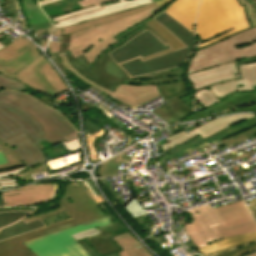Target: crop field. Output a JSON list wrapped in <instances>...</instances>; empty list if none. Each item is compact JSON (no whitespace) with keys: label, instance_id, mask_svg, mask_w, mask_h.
I'll return each mask as SVG.
<instances>
[{"label":"crop field","instance_id":"27","mask_svg":"<svg viewBox=\"0 0 256 256\" xmlns=\"http://www.w3.org/2000/svg\"><path fill=\"white\" fill-rule=\"evenodd\" d=\"M148 27H150L154 32H156L162 39H164L173 49L162 52L160 54L154 55L152 57H149L147 59L153 58L155 56L168 53L174 50H178L184 45L176 38L174 37L168 30H166L163 26H161L158 22H156L153 18L144 22ZM146 60V59H144Z\"/></svg>","mask_w":256,"mask_h":256},{"label":"crop field","instance_id":"50","mask_svg":"<svg viewBox=\"0 0 256 256\" xmlns=\"http://www.w3.org/2000/svg\"><path fill=\"white\" fill-rule=\"evenodd\" d=\"M250 212L252 213L254 219L256 220V209L250 210Z\"/></svg>","mask_w":256,"mask_h":256},{"label":"crop field","instance_id":"16","mask_svg":"<svg viewBox=\"0 0 256 256\" xmlns=\"http://www.w3.org/2000/svg\"><path fill=\"white\" fill-rule=\"evenodd\" d=\"M240 77L236 62H231L187 75V79L193 84L194 91L215 83L224 82Z\"/></svg>","mask_w":256,"mask_h":256},{"label":"crop field","instance_id":"34","mask_svg":"<svg viewBox=\"0 0 256 256\" xmlns=\"http://www.w3.org/2000/svg\"><path fill=\"white\" fill-rule=\"evenodd\" d=\"M242 4H245L247 14L252 27H256V0H239Z\"/></svg>","mask_w":256,"mask_h":256},{"label":"crop field","instance_id":"19","mask_svg":"<svg viewBox=\"0 0 256 256\" xmlns=\"http://www.w3.org/2000/svg\"><path fill=\"white\" fill-rule=\"evenodd\" d=\"M225 98L226 100L222 101L221 103L215 104L207 108L205 111L197 112L196 114H194L193 116H191L185 121L210 117L211 116L210 113L212 112L219 113L231 107L256 101L254 92L233 93L231 95L226 96ZM181 122H184V121H181Z\"/></svg>","mask_w":256,"mask_h":256},{"label":"crop field","instance_id":"13","mask_svg":"<svg viewBox=\"0 0 256 256\" xmlns=\"http://www.w3.org/2000/svg\"><path fill=\"white\" fill-rule=\"evenodd\" d=\"M168 49H171L168 44H163L147 30L108 54L117 64H119L139 56L144 59Z\"/></svg>","mask_w":256,"mask_h":256},{"label":"crop field","instance_id":"46","mask_svg":"<svg viewBox=\"0 0 256 256\" xmlns=\"http://www.w3.org/2000/svg\"><path fill=\"white\" fill-rule=\"evenodd\" d=\"M250 203H251V205H248V208H249V209L256 208V200L250 201Z\"/></svg>","mask_w":256,"mask_h":256},{"label":"crop field","instance_id":"9","mask_svg":"<svg viewBox=\"0 0 256 256\" xmlns=\"http://www.w3.org/2000/svg\"><path fill=\"white\" fill-rule=\"evenodd\" d=\"M108 216L24 244L38 256H90L71 235L110 225Z\"/></svg>","mask_w":256,"mask_h":256},{"label":"crop field","instance_id":"53","mask_svg":"<svg viewBox=\"0 0 256 256\" xmlns=\"http://www.w3.org/2000/svg\"><path fill=\"white\" fill-rule=\"evenodd\" d=\"M254 90H255V94H256V87H254Z\"/></svg>","mask_w":256,"mask_h":256},{"label":"crop field","instance_id":"23","mask_svg":"<svg viewBox=\"0 0 256 256\" xmlns=\"http://www.w3.org/2000/svg\"><path fill=\"white\" fill-rule=\"evenodd\" d=\"M213 230L220 240L227 237L255 231L256 223L254 222L252 217H250V218H246L243 220H239L236 222L219 226L217 228H214Z\"/></svg>","mask_w":256,"mask_h":256},{"label":"crop field","instance_id":"25","mask_svg":"<svg viewBox=\"0 0 256 256\" xmlns=\"http://www.w3.org/2000/svg\"><path fill=\"white\" fill-rule=\"evenodd\" d=\"M215 211L223 224L251 216L243 201L237 204L215 208Z\"/></svg>","mask_w":256,"mask_h":256},{"label":"crop field","instance_id":"21","mask_svg":"<svg viewBox=\"0 0 256 256\" xmlns=\"http://www.w3.org/2000/svg\"><path fill=\"white\" fill-rule=\"evenodd\" d=\"M256 241V232L239 235L212 243L204 248L199 249L204 256H210L237 246L245 245Z\"/></svg>","mask_w":256,"mask_h":256},{"label":"crop field","instance_id":"10","mask_svg":"<svg viewBox=\"0 0 256 256\" xmlns=\"http://www.w3.org/2000/svg\"><path fill=\"white\" fill-rule=\"evenodd\" d=\"M133 84H157L160 93L169 102L152 111L169 125L192 112L191 93L182 79H161L156 81H134ZM182 99V100H180Z\"/></svg>","mask_w":256,"mask_h":256},{"label":"crop field","instance_id":"51","mask_svg":"<svg viewBox=\"0 0 256 256\" xmlns=\"http://www.w3.org/2000/svg\"><path fill=\"white\" fill-rule=\"evenodd\" d=\"M244 256H256V251H255V252H253V253H250V254L244 255Z\"/></svg>","mask_w":256,"mask_h":256},{"label":"crop field","instance_id":"41","mask_svg":"<svg viewBox=\"0 0 256 256\" xmlns=\"http://www.w3.org/2000/svg\"><path fill=\"white\" fill-rule=\"evenodd\" d=\"M185 68L184 66H180L178 68H175V69H172L173 72H174V76L175 77H178V78H184V71H185Z\"/></svg>","mask_w":256,"mask_h":256},{"label":"crop field","instance_id":"7","mask_svg":"<svg viewBox=\"0 0 256 256\" xmlns=\"http://www.w3.org/2000/svg\"><path fill=\"white\" fill-rule=\"evenodd\" d=\"M154 19L168 29L186 47L143 62L138 58L127 63L120 64L130 77L141 76L178 67L188 59L196 47L195 35L167 12L164 10L161 11L154 17Z\"/></svg>","mask_w":256,"mask_h":256},{"label":"crop field","instance_id":"4","mask_svg":"<svg viewBox=\"0 0 256 256\" xmlns=\"http://www.w3.org/2000/svg\"><path fill=\"white\" fill-rule=\"evenodd\" d=\"M59 201L72 219L0 242V256H37L22 242L106 216L87 195L81 181L67 184Z\"/></svg>","mask_w":256,"mask_h":256},{"label":"crop field","instance_id":"20","mask_svg":"<svg viewBox=\"0 0 256 256\" xmlns=\"http://www.w3.org/2000/svg\"><path fill=\"white\" fill-rule=\"evenodd\" d=\"M168 143L160 146L162 152L168 157L194 143H197L203 138L195 131H190L188 134L183 130L169 138H166Z\"/></svg>","mask_w":256,"mask_h":256},{"label":"crop field","instance_id":"48","mask_svg":"<svg viewBox=\"0 0 256 256\" xmlns=\"http://www.w3.org/2000/svg\"><path fill=\"white\" fill-rule=\"evenodd\" d=\"M2 206H6V204L3 200L2 194H0V207H2Z\"/></svg>","mask_w":256,"mask_h":256},{"label":"crop field","instance_id":"47","mask_svg":"<svg viewBox=\"0 0 256 256\" xmlns=\"http://www.w3.org/2000/svg\"><path fill=\"white\" fill-rule=\"evenodd\" d=\"M56 1H60V0H47V1L41 2L40 6L48 4V3L56 2Z\"/></svg>","mask_w":256,"mask_h":256},{"label":"crop field","instance_id":"17","mask_svg":"<svg viewBox=\"0 0 256 256\" xmlns=\"http://www.w3.org/2000/svg\"><path fill=\"white\" fill-rule=\"evenodd\" d=\"M119 1L120 2L102 6L103 9L101 10L74 16V17L59 21V23L54 24L55 29L71 26L81 22L93 20L95 18L103 17L109 14H114V13L122 12V11L133 9V8H138L144 5L154 3L152 0H132V1L119 0Z\"/></svg>","mask_w":256,"mask_h":256},{"label":"crop field","instance_id":"33","mask_svg":"<svg viewBox=\"0 0 256 256\" xmlns=\"http://www.w3.org/2000/svg\"><path fill=\"white\" fill-rule=\"evenodd\" d=\"M27 86L23 85L22 83L10 79L3 74H0V92L8 91V90H16L19 91Z\"/></svg>","mask_w":256,"mask_h":256},{"label":"crop field","instance_id":"42","mask_svg":"<svg viewBox=\"0 0 256 256\" xmlns=\"http://www.w3.org/2000/svg\"><path fill=\"white\" fill-rule=\"evenodd\" d=\"M155 1L161 8L164 7L166 4H170L173 0H153Z\"/></svg>","mask_w":256,"mask_h":256},{"label":"crop field","instance_id":"18","mask_svg":"<svg viewBox=\"0 0 256 256\" xmlns=\"http://www.w3.org/2000/svg\"><path fill=\"white\" fill-rule=\"evenodd\" d=\"M199 0H175L166 8L186 28L194 33V22L198 10Z\"/></svg>","mask_w":256,"mask_h":256},{"label":"crop field","instance_id":"22","mask_svg":"<svg viewBox=\"0 0 256 256\" xmlns=\"http://www.w3.org/2000/svg\"><path fill=\"white\" fill-rule=\"evenodd\" d=\"M255 115L253 114H239V115H233L223 118L215 119L209 123H206L195 130L205 139L206 137L223 130L224 128L228 126H232L236 123L242 122L246 119H249Z\"/></svg>","mask_w":256,"mask_h":256},{"label":"crop field","instance_id":"38","mask_svg":"<svg viewBox=\"0 0 256 256\" xmlns=\"http://www.w3.org/2000/svg\"><path fill=\"white\" fill-rule=\"evenodd\" d=\"M85 124H86V135L90 134L93 138H95V136H97L100 133L101 129H99L97 126H95L86 118H85Z\"/></svg>","mask_w":256,"mask_h":256},{"label":"crop field","instance_id":"35","mask_svg":"<svg viewBox=\"0 0 256 256\" xmlns=\"http://www.w3.org/2000/svg\"><path fill=\"white\" fill-rule=\"evenodd\" d=\"M256 250V242L250 245L240 247L234 250H230L221 254H217L215 256H241Z\"/></svg>","mask_w":256,"mask_h":256},{"label":"crop field","instance_id":"39","mask_svg":"<svg viewBox=\"0 0 256 256\" xmlns=\"http://www.w3.org/2000/svg\"><path fill=\"white\" fill-rule=\"evenodd\" d=\"M60 144L68 151V153L80 148L79 139L68 143L62 142Z\"/></svg>","mask_w":256,"mask_h":256},{"label":"crop field","instance_id":"15","mask_svg":"<svg viewBox=\"0 0 256 256\" xmlns=\"http://www.w3.org/2000/svg\"><path fill=\"white\" fill-rule=\"evenodd\" d=\"M7 206H30L50 201L55 184H38L2 192Z\"/></svg>","mask_w":256,"mask_h":256},{"label":"crop field","instance_id":"40","mask_svg":"<svg viewBox=\"0 0 256 256\" xmlns=\"http://www.w3.org/2000/svg\"><path fill=\"white\" fill-rule=\"evenodd\" d=\"M78 243L81 244L90 253L91 256H99L94 251V249L84 239L78 240ZM109 256H119V255H118V253H116V254L109 255Z\"/></svg>","mask_w":256,"mask_h":256},{"label":"crop field","instance_id":"5","mask_svg":"<svg viewBox=\"0 0 256 256\" xmlns=\"http://www.w3.org/2000/svg\"><path fill=\"white\" fill-rule=\"evenodd\" d=\"M250 27L245 7L238 0H202L196 23L198 49Z\"/></svg>","mask_w":256,"mask_h":256},{"label":"crop field","instance_id":"49","mask_svg":"<svg viewBox=\"0 0 256 256\" xmlns=\"http://www.w3.org/2000/svg\"><path fill=\"white\" fill-rule=\"evenodd\" d=\"M6 27H7V26H6ZM6 27L0 29V34L8 29V28H6ZM3 47H5V46L0 43V49L3 48Z\"/></svg>","mask_w":256,"mask_h":256},{"label":"crop field","instance_id":"8","mask_svg":"<svg viewBox=\"0 0 256 256\" xmlns=\"http://www.w3.org/2000/svg\"><path fill=\"white\" fill-rule=\"evenodd\" d=\"M249 57H256V28L196 51L186 74Z\"/></svg>","mask_w":256,"mask_h":256},{"label":"crop field","instance_id":"45","mask_svg":"<svg viewBox=\"0 0 256 256\" xmlns=\"http://www.w3.org/2000/svg\"><path fill=\"white\" fill-rule=\"evenodd\" d=\"M5 163H7V161H6V159H5L4 155H3V153L0 152V164H5Z\"/></svg>","mask_w":256,"mask_h":256},{"label":"crop field","instance_id":"1","mask_svg":"<svg viewBox=\"0 0 256 256\" xmlns=\"http://www.w3.org/2000/svg\"><path fill=\"white\" fill-rule=\"evenodd\" d=\"M78 132L55 110L22 93H0V148L9 164L27 169L49 161L45 148L78 139Z\"/></svg>","mask_w":256,"mask_h":256},{"label":"crop field","instance_id":"43","mask_svg":"<svg viewBox=\"0 0 256 256\" xmlns=\"http://www.w3.org/2000/svg\"><path fill=\"white\" fill-rule=\"evenodd\" d=\"M242 111H253V112H256V105L255 106H251V107H247V108L235 111V112H242ZM232 113H234V112H232Z\"/></svg>","mask_w":256,"mask_h":256},{"label":"crop field","instance_id":"28","mask_svg":"<svg viewBox=\"0 0 256 256\" xmlns=\"http://www.w3.org/2000/svg\"><path fill=\"white\" fill-rule=\"evenodd\" d=\"M77 1L80 0H63L57 3L42 6L41 8L47 17L50 18L81 9V7L76 3Z\"/></svg>","mask_w":256,"mask_h":256},{"label":"crop field","instance_id":"30","mask_svg":"<svg viewBox=\"0 0 256 256\" xmlns=\"http://www.w3.org/2000/svg\"><path fill=\"white\" fill-rule=\"evenodd\" d=\"M109 1H113V0H83V1L78 2V4L83 9L78 10V11L73 12V13L57 16V17H54V18H50V20L54 24V23H57V21H59V20L74 16V15H78V14L98 10V9L102 8L100 4L105 3V2H109Z\"/></svg>","mask_w":256,"mask_h":256},{"label":"crop field","instance_id":"29","mask_svg":"<svg viewBox=\"0 0 256 256\" xmlns=\"http://www.w3.org/2000/svg\"><path fill=\"white\" fill-rule=\"evenodd\" d=\"M40 218L42 222L46 225L57 223L66 219H69L70 217L64 212L62 208H58L55 210H51L45 213H41L35 216L26 217L23 219L25 222L35 220Z\"/></svg>","mask_w":256,"mask_h":256},{"label":"crop field","instance_id":"3","mask_svg":"<svg viewBox=\"0 0 256 256\" xmlns=\"http://www.w3.org/2000/svg\"><path fill=\"white\" fill-rule=\"evenodd\" d=\"M0 73L53 97L69 89L37 49L21 37L0 50Z\"/></svg>","mask_w":256,"mask_h":256},{"label":"crop field","instance_id":"6","mask_svg":"<svg viewBox=\"0 0 256 256\" xmlns=\"http://www.w3.org/2000/svg\"><path fill=\"white\" fill-rule=\"evenodd\" d=\"M147 29L151 31L155 36H157L161 41H163L157 34H155L150 28L142 23L141 25L115 37V39L119 40L120 42L101 53L91 64V66L84 58L83 54L78 58L74 59L69 51L66 52L67 59L80 74L86 76L98 85L114 91L115 88L122 82L132 84V81L128 78L127 74L121 68H119L117 64L107 55V53ZM163 42L166 44L165 41ZM49 56L52 58L53 62L60 68V70L66 75L67 71L60 63L57 53L49 54Z\"/></svg>","mask_w":256,"mask_h":256},{"label":"crop field","instance_id":"26","mask_svg":"<svg viewBox=\"0 0 256 256\" xmlns=\"http://www.w3.org/2000/svg\"><path fill=\"white\" fill-rule=\"evenodd\" d=\"M44 227L40 219L25 223L23 220L0 230V241Z\"/></svg>","mask_w":256,"mask_h":256},{"label":"crop field","instance_id":"11","mask_svg":"<svg viewBox=\"0 0 256 256\" xmlns=\"http://www.w3.org/2000/svg\"><path fill=\"white\" fill-rule=\"evenodd\" d=\"M61 63L67 69L69 75L74 74L78 79L85 82V84L89 85L90 87H96L101 91L109 94L111 98L126 104L127 106L133 108L153 97L160 95L156 85H131L122 83L120 86L116 88L114 92L100 87L94 82L88 80L87 78L81 76L67 61L65 53L59 54Z\"/></svg>","mask_w":256,"mask_h":256},{"label":"crop field","instance_id":"37","mask_svg":"<svg viewBox=\"0 0 256 256\" xmlns=\"http://www.w3.org/2000/svg\"><path fill=\"white\" fill-rule=\"evenodd\" d=\"M85 186L87 193L94 199V201L98 204L105 203V200L97 191L95 185L92 181H84L82 182Z\"/></svg>","mask_w":256,"mask_h":256},{"label":"crop field","instance_id":"52","mask_svg":"<svg viewBox=\"0 0 256 256\" xmlns=\"http://www.w3.org/2000/svg\"><path fill=\"white\" fill-rule=\"evenodd\" d=\"M107 213L109 214V216L112 218V221H114L115 220V218L110 214V212L109 211H107Z\"/></svg>","mask_w":256,"mask_h":256},{"label":"crop field","instance_id":"14","mask_svg":"<svg viewBox=\"0 0 256 256\" xmlns=\"http://www.w3.org/2000/svg\"><path fill=\"white\" fill-rule=\"evenodd\" d=\"M191 221L192 224H184L183 227L198 248L218 241L212 228L222 223L210 205L193 208Z\"/></svg>","mask_w":256,"mask_h":256},{"label":"crop field","instance_id":"24","mask_svg":"<svg viewBox=\"0 0 256 256\" xmlns=\"http://www.w3.org/2000/svg\"><path fill=\"white\" fill-rule=\"evenodd\" d=\"M112 239L123 249L120 256H152L130 232L112 237Z\"/></svg>","mask_w":256,"mask_h":256},{"label":"crop field","instance_id":"12","mask_svg":"<svg viewBox=\"0 0 256 256\" xmlns=\"http://www.w3.org/2000/svg\"><path fill=\"white\" fill-rule=\"evenodd\" d=\"M239 70L243 79L213 86L210 91H197L196 93H193L194 98L204 105L206 109L207 107L220 102L218 99L227 94L241 91H254L252 86H256V63L241 65L239 66Z\"/></svg>","mask_w":256,"mask_h":256},{"label":"crop field","instance_id":"54","mask_svg":"<svg viewBox=\"0 0 256 256\" xmlns=\"http://www.w3.org/2000/svg\"><path fill=\"white\" fill-rule=\"evenodd\" d=\"M1 151V150H0Z\"/></svg>","mask_w":256,"mask_h":256},{"label":"crop field","instance_id":"31","mask_svg":"<svg viewBox=\"0 0 256 256\" xmlns=\"http://www.w3.org/2000/svg\"><path fill=\"white\" fill-rule=\"evenodd\" d=\"M26 170L25 167L12 170L9 172H1L0 173V188H9L12 186L19 185L18 180L16 178V174Z\"/></svg>","mask_w":256,"mask_h":256},{"label":"crop field","instance_id":"32","mask_svg":"<svg viewBox=\"0 0 256 256\" xmlns=\"http://www.w3.org/2000/svg\"><path fill=\"white\" fill-rule=\"evenodd\" d=\"M32 212H5L0 213V228L6 227L23 217L31 214Z\"/></svg>","mask_w":256,"mask_h":256},{"label":"crop field","instance_id":"44","mask_svg":"<svg viewBox=\"0 0 256 256\" xmlns=\"http://www.w3.org/2000/svg\"><path fill=\"white\" fill-rule=\"evenodd\" d=\"M253 61H256V58H250V59H245V60H239V61H237V64L248 63V62H253Z\"/></svg>","mask_w":256,"mask_h":256},{"label":"crop field","instance_id":"36","mask_svg":"<svg viewBox=\"0 0 256 256\" xmlns=\"http://www.w3.org/2000/svg\"><path fill=\"white\" fill-rule=\"evenodd\" d=\"M120 164H115L111 160L102 163L100 166V170L98 172L101 176H111V175H118L117 170Z\"/></svg>","mask_w":256,"mask_h":256},{"label":"crop field","instance_id":"2","mask_svg":"<svg viewBox=\"0 0 256 256\" xmlns=\"http://www.w3.org/2000/svg\"><path fill=\"white\" fill-rule=\"evenodd\" d=\"M161 8L156 4L106 16L75 26L57 29L54 35L63 37L61 43L51 42L49 53L70 50L74 58L82 53L91 64L105 49L117 40L115 36L151 18Z\"/></svg>","mask_w":256,"mask_h":256}]
</instances>
